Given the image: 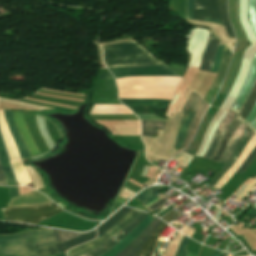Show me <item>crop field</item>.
<instances>
[{
  "instance_id": "8a807250",
  "label": "crop field",
  "mask_w": 256,
  "mask_h": 256,
  "mask_svg": "<svg viewBox=\"0 0 256 256\" xmlns=\"http://www.w3.org/2000/svg\"><path fill=\"white\" fill-rule=\"evenodd\" d=\"M82 234L47 230L0 236V256H37L36 248L56 244Z\"/></svg>"
},
{
  "instance_id": "ac0d7876",
  "label": "crop field",
  "mask_w": 256,
  "mask_h": 256,
  "mask_svg": "<svg viewBox=\"0 0 256 256\" xmlns=\"http://www.w3.org/2000/svg\"><path fill=\"white\" fill-rule=\"evenodd\" d=\"M101 47L104 51V63L107 68L163 64L151 57L144 48L134 41Z\"/></svg>"
},
{
  "instance_id": "34b2d1b8",
  "label": "crop field",
  "mask_w": 256,
  "mask_h": 256,
  "mask_svg": "<svg viewBox=\"0 0 256 256\" xmlns=\"http://www.w3.org/2000/svg\"><path fill=\"white\" fill-rule=\"evenodd\" d=\"M182 114L176 112L175 115L169 116L164 131L157 130L158 137L142 136V140L146 145V156L153 155L157 158L169 160L176 153L173 146Z\"/></svg>"
},
{
  "instance_id": "412701ff",
  "label": "crop field",
  "mask_w": 256,
  "mask_h": 256,
  "mask_svg": "<svg viewBox=\"0 0 256 256\" xmlns=\"http://www.w3.org/2000/svg\"><path fill=\"white\" fill-rule=\"evenodd\" d=\"M192 10L193 0H186V18L192 19ZM203 17L224 22L223 24L204 18L208 22L223 24L228 36L235 38L227 17L226 0H194L193 19L203 20Z\"/></svg>"
},
{
  "instance_id": "f4fd0767",
  "label": "crop field",
  "mask_w": 256,
  "mask_h": 256,
  "mask_svg": "<svg viewBox=\"0 0 256 256\" xmlns=\"http://www.w3.org/2000/svg\"><path fill=\"white\" fill-rule=\"evenodd\" d=\"M5 220L37 224L63 210L59 209L55 203L45 206L1 209Z\"/></svg>"
},
{
  "instance_id": "dd49c442",
  "label": "crop field",
  "mask_w": 256,
  "mask_h": 256,
  "mask_svg": "<svg viewBox=\"0 0 256 256\" xmlns=\"http://www.w3.org/2000/svg\"><path fill=\"white\" fill-rule=\"evenodd\" d=\"M140 211L132 209L129 211L122 219H120L108 232H106L104 235H101L99 238H97L94 241L88 242L84 245L77 246L73 249L68 250L69 256H81L84 255L109 238H111L113 235H115L119 230H121L126 224H128L136 215H138Z\"/></svg>"
},
{
  "instance_id": "e52e79f7",
  "label": "crop field",
  "mask_w": 256,
  "mask_h": 256,
  "mask_svg": "<svg viewBox=\"0 0 256 256\" xmlns=\"http://www.w3.org/2000/svg\"><path fill=\"white\" fill-rule=\"evenodd\" d=\"M109 70L115 76V78L124 77V76H147V75L179 76L177 73H175L166 65L140 67V68H131V67L113 68Z\"/></svg>"
},
{
  "instance_id": "d8731c3e",
  "label": "crop field",
  "mask_w": 256,
  "mask_h": 256,
  "mask_svg": "<svg viewBox=\"0 0 256 256\" xmlns=\"http://www.w3.org/2000/svg\"><path fill=\"white\" fill-rule=\"evenodd\" d=\"M148 214L141 212L135 219H133L127 226H125L116 236L109 239L90 253L84 256H101L112 246L122 240L142 219H144Z\"/></svg>"
},
{
  "instance_id": "5a996713",
  "label": "crop field",
  "mask_w": 256,
  "mask_h": 256,
  "mask_svg": "<svg viewBox=\"0 0 256 256\" xmlns=\"http://www.w3.org/2000/svg\"><path fill=\"white\" fill-rule=\"evenodd\" d=\"M158 218H155L152 223L135 239L133 240L125 249L119 252L116 256H134L144 242L148 239L150 234L155 230V228L161 223Z\"/></svg>"
},
{
  "instance_id": "3316defc",
  "label": "crop field",
  "mask_w": 256,
  "mask_h": 256,
  "mask_svg": "<svg viewBox=\"0 0 256 256\" xmlns=\"http://www.w3.org/2000/svg\"><path fill=\"white\" fill-rule=\"evenodd\" d=\"M155 217L148 215L142 220L122 241L116 244L109 252L102 256H115L120 250L128 245L134 238H136L154 219Z\"/></svg>"
},
{
  "instance_id": "28ad6ade",
  "label": "crop field",
  "mask_w": 256,
  "mask_h": 256,
  "mask_svg": "<svg viewBox=\"0 0 256 256\" xmlns=\"http://www.w3.org/2000/svg\"><path fill=\"white\" fill-rule=\"evenodd\" d=\"M256 80V54L252 60L251 69L249 76L247 77L237 99L235 100L234 104L231 107V110L238 113L243 101L247 97L248 93L250 92L254 82Z\"/></svg>"
},
{
  "instance_id": "d1516ede",
  "label": "crop field",
  "mask_w": 256,
  "mask_h": 256,
  "mask_svg": "<svg viewBox=\"0 0 256 256\" xmlns=\"http://www.w3.org/2000/svg\"><path fill=\"white\" fill-rule=\"evenodd\" d=\"M16 126L32 156L39 155V152L28 132L25 121L20 111H12Z\"/></svg>"
},
{
  "instance_id": "22f410ed",
  "label": "crop field",
  "mask_w": 256,
  "mask_h": 256,
  "mask_svg": "<svg viewBox=\"0 0 256 256\" xmlns=\"http://www.w3.org/2000/svg\"><path fill=\"white\" fill-rule=\"evenodd\" d=\"M255 146H256V135L254 134V136L252 137L250 142L247 144V146L244 148L243 152L241 153L239 158L236 160L234 165L223 175V177L218 181V183L214 187L219 189L237 171V169L248 157V155L255 148Z\"/></svg>"
},
{
  "instance_id": "cbeb9de0",
  "label": "crop field",
  "mask_w": 256,
  "mask_h": 256,
  "mask_svg": "<svg viewBox=\"0 0 256 256\" xmlns=\"http://www.w3.org/2000/svg\"><path fill=\"white\" fill-rule=\"evenodd\" d=\"M235 116L236 115L233 112H229V114L222 120V122L220 123L218 129L216 130V132L210 142V145L207 149L206 155L204 156L205 159L211 160V158L219 144V141L223 135L224 130L227 129V127L230 125V123L235 118Z\"/></svg>"
},
{
  "instance_id": "5142ce71",
  "label": "crop field",
  "mask_w": 256,
  "mask_h": 256,
  "mask_svg": "<svg viewBox=\"0 0 256 256\" xmlns=\"http://www.w3.org/2000/svg\"><path fill=\"white\" fill-rule=\"evenodd\" d=\"M209 36L219 40L213 33L210 32ZM209 37L208 43L206 45L205 51L203 53L202 61H201V66L199 70H205L209 71L211 70V66L214 60V56L217 50V46L219 41Z\"/></svg>"
},
{
  "instance_id": "d9b57169",
  "label": "crop field",
  "mask_w": 256,
  "mask_h": 256,
  "mask_svg": "<svg viewBox=\"0 0 256 256\" xmlns=\"http://www.w3.org/2000/svg\"><path fill=\"white\" fill-rule=\"evenodd\" d=\"M253 132L248 128V130L244 133V135L241 138V141L235 150L232 158L230 161L221 169V171L208 183V185L213 186L216 184V182L220 179V177L230 168V166L235 162V160L240 155L241 151L245 147V145L248 143V141L253 136Z\"/></svg>"
},
{
  "instance_id": "733c2abd",
  "label": "crop field",
  "mask_w": 256,
  "mask_h": 256,
  "mask_svg": "<svg viewBox=\"0 0 256 256\" xmlns=\"http://www.w3.org/2000/svg\"><path fill=\"white\" fill-rule=\"evenodd\" d=\"M4 113H5V118H6V122L8 124L9 130H10L11 135L17 145V148H18L21 158L23 159V158L31 157L22 138L20 137L19 133L17 132V130L15 128L10 110H4Z\"/></svg>"
},
{
  "instance_id": "4a817a6b",
  "label": "crop field",
  "mask_w": 256,
  "mask_h": 256,
  "mask_svg": "<svg viewBox=\"0 0 256 256\" xmlns=\"http://www.w3.org/2000/svg\"><path fill=\"white\" fill-rule=\"evenodd\" d=\"M0 128H1V132H2L3 138L5 140L7 150H8L11 160L13 161V160L20 159L18 152H17V148L13 142V139L10 135L7 124L5 122L3 111H0Z\"/></svg>"
},
{
  "instance_id": "bc2a9ffb",
  "label": "crop field",
  "mask_w": 256,
  "mask_h": 256,
  "mask_svg": "<svg viewBox=\"0 0 256 256\" xmlns=\"http://www.w3.org/2000/svg\"><path fill=\"white\" fill-rule=\"evenodd\" d=\"M167 225L162 222L135 256H151L158 237Z\"/></svg>"
},
{
  "instance_id": "214f88e0",
  "label": "crop field",
  "mask_w": 256,
  "mask_h": 256,
  "mask_svg": "<svg viewBox=\"0 0 256 256\" xmlns=\"http://www.w3.org/2000/svg\"><path fill=\"white\" fill-rule=\"evenodd\" d=\"M242 122L237 118L233 120V122L231 123V125L229 126V128L227 129V131L225 132L221 142H220V146L213 158V161H217L219 162L226 146L228 145L234 131L238 128V126L241 124Z\"/></svg>"
},
{
  "instance_id": "92a150f3",
  "label": "crop field",
  "mask_w": 256,
  "mask_h": 256,
  "mask_svg": "<svg viewBox=\"0 0 256 256\" xmlns=\"http://www.w3.org/2000/svg\"><path fill=\"white\" fill-rule=\"evenodd\" d=\"M0 164L4 170L7 185H17L14 173L9 165L8 158L3 146V141L0 133Z\"/></svg>"
},
{
  "instance_id": "dafd665d",
  "label": "crop field",
  "mask_w": 256,
  "mask_h": 256,
  "mask_svg": "<svg viewBox=\"0 0 256 256\" xmlns=\"http://www.w3.org/2000/svg\"><path fill=\"white\" fill-rule=\"evenodd\" d=\"M95 236H96V230L93 232H90L88 234H85L83 236L77 237L75 239L56 244V247H57L59 253H61V252L66 251L69 248L75 247L81 243L92 240L95 238Z\"/></svg>"
},
{
  "instance_id": "00972430",
  "label": "crop field",
  "mask_w": 256,
  "mask_h": 256,
  "mask_svg": "<svg viewBox=\"0 0 256 256\" xmlns=\"http://www.w3.org/2000/svg\"><path fill=\"white\" fill-rule=\"evenodd\" d=\"M209 105H207L205 102L202 101L197 113L195 114V116L193 117L189 127H188V130H187V134H186V138H185V142H184V145L183 147H185L191 140L196 128H197V125L202 117V115L204 114V112L206 111V109L208 108Z\"/></svg>"
},
{
  "instance_id": "a9b5d70f",
  "label": "crop field",
  "mask_w": 256,
  "mask_h": 256,
  "mask_svg": "<svg viewBox=\"0 0 256 256\" xmlns=\"http://www.w3.org/2000/svg\"><path fill=\"white\" fill-rule=\"evenodd\" d=\"M230 56H231V53L230 51L224 47V51H223V54H222V61H221V67H220V70L219 72L217 73V76L211 86L212 89H219L221 84H222V81H223V77H224V74H225V71L229 65V61H230Z\"/></svg>"
},
{
  "instance_id": "4177f3b9",
  "label": "crop field",
  "mask_w": 256,
  "mask_h": 256,
  "mask_svg": "<svg viewBox=\"0 0 256 256\" xmlns=\"http://www.w3.org/2000/svg\"><path fill=\"white\" fill-rule=\"evenodd\" d=\"M247 127L242 123L239 128L235 131L234 136L230 142V144L228 145L225 153L223 154L220 162L222 163H227L228 159L230 158L234 148L236 147L242 133L245 131Z\"/></svg>"
},
{
  "instance_id": "730fd06b",
  "label": "crop field",
  "mask_w": 256,
  "mask_h": 256,
  "mask_svg": "<svg viewBox=\"0 0 256 256\" xmlns=\"http://www.w3.org/2000/svg\"><path fill=\"white\" fill-rule=\"evenodd\" d=\"M214 117V116H213ZM212 116L211 115H205L195 137H194V140L192 142V145H191V148H190V151L189 153L191 154H195V152L197 151L200 143H201V140H202V137H203V134H204V131L209 123V121L211 120ZM211 122V121H210Z\"/></svg>"
},
{
  "instance_id": "eef30255",
  "label": "crop field",
  "mask_w": 256,
  "mask_h": 256,
  "mask_svg": "<svg viewBox=\"0 0 256 256\" xmlns=\"http://www.w3.org/2000/svg\"><path fill=\"white\" fill-rule=\"evenodd\" d=\"M131 208L123 207L120 209L115 215H113L106 222L97 227L98 236L108 230L111 226H113L120 218H122Z\"/></svg>"
},
{
  "instance_id": "ae1a2a85",
  "label": "crop field",
  "mask_w": 256,
  "mask_h": 256,
  "mask_svg": "<svg viewBox=\"0 0 256 256\" xmlns=\"http://www.w3.org/2000/svg\"><path fill=\"white\" fill-rule=\"evenodd\" d=\"M255 102H256V83H255L253 89L251 90L250 94L246 98L245 102L243 103V105L237 115L241 118L242 121L247 116V114L249 113V111L251 110V108L253 107Z\"/></svg>"
},
{
  "instance_id": "d3111659",
  "label": "crop field",
  "mask_w": 256,
  "mask_h": 256,
  "mask_svg": "<svg viewBox=\"0 0 256 256\" xmlns=\"http://www.w3.org/2000/svg\"><path fill=\"white\" fill-rule=\"evenodd\" d=\"M142 122V135H153L157 136L156 128L163 129L166 122L161 121H146L140 120Z\"/></svg>"
},
{
  "instance_id": "750c4746",
  "label": "crop field",
  "mask_w": 256,
  "mask_h": 256,
  "mask_svg": "<svg viewBox=\"0 0 256 256\" xmlns=\"http://www.w3.org/2000/svg\"><path fill=\"white\" fill-rule=\"evenodd\" d=\"M193 115L194 114H192V113H188V115L186 117L182 118L180 130H179V134H178L175 146L180 147V148L182 147L187 127H188Z\"/></svg>"
},
{
  "instance_id": "bd1437ed",
  "label": "crop field",
  "mask_w": 256,
  "mask_h": 256,
  "mask_svg": "<svg viewBox=\"0 0 256 256\" xmlns=\"http://www.w3.org/2000/svg\"><path fill=\"white\" fill-rule=\"evenodd\" d=\"M12 166L19 183L25 185L30 182L26 174V171L24 169V165L22 161L12 162Z\"/></svg>"
},
{
  "instance_id": "1d83c4d3",
  "label": "crop field",
  "mask_w": 256,
  "mask_h": 256,
  "mask_svg": "<svg viewBox=\"0 0 256 256\" xmlns=\"http://www.w3.org/2000/svg\"><path fill=\"white\" fill-rule=\"evenodd\" d=\"M201 101L202 100H201L200 96L192 92V94L186 101V103L182 109V112L188 111V112L195 113L197 108L199 107Z\"/></svg>"
},
{
  "instance_id": "120bbe31",
  "label": "crop field",
  "mask_w": 256,
  "mask_h": 256,
  "mask_svg": "<svg viewBox=\"0 0 256 256\" xmlns=\"http://www.w3.org/2000/svg\"><path fill=\"white\" fill-rule=\"evenodd\" d=\"M124 104H167L170 101L156 99H121Z\"/></svg>"
},
{
  "instance_id": "d32e631a",
  "label": "crop field",
  "mask_w": 256,
  "mask_h": 256,
  "mask_svg": "<svg viewBox=\"0 0 256 256\" xmlns=\"http://www.w3.org/2000/svg\"><path fill=\"white\" fill-rule=\"evenodd\" d=\"M249 20L256 35V0H248Z\"/></svg>"
},
{
  "instance_id": "5866460e",
  "label": "crop field",
  "mask_w": 256,
  "mask_h": 256,
  "mask_svg": "<svg viewBox=\"0 0 256 256\" xmlns=\"http://www.w3.org/2000/svg\"><path fill=\"white\" fill-rule=\"evenodd\" d=\"M160 191H161L160 189L151 188L146 193H144L143 195L137 197L136 199H138L139 201L144 203L145 201H147V200L151 199L152 197H154Z\"/></svg>"
},
{
  "instance_id": "028f5c9d",
  "label": "crop field",
  "mask_w": 256,
  "mask_h": 256,
  "mask_svg": "<svg viewBox=\"0 0 256 256\" xmlns=\"http://www.w3.org/2000/svg\"><path fill=\"white\" fill-rule=\"evenodd\" d=\"M37 251L39 256H48L58 253L54 245L38 248Z\"/></svg>"
},
{
  "instance_id": "e1f06a70",
  "label": "crop field",
  "mask_w": 256,
  "mask_h": 256,
  "mask_svg": "<svg viewBox=\"0 0 256 256\" xmlns=\"http://www.w3.org/2000/svg\"><path fill=\"white\" fill-rule=\"evenodd\" d=\"M189 240H190V238H188L187 236L184 235L175 256H186L188 251H186L185 248H186Z\"/></svg>"
},
{
  "instance_id": "0bd39190",
  "label": "crop field",
  "mask_w": 256,
  "mask_h": 256,
  "mask_svg": "<svg viewBox=\"0 0 256 256\" xmlns=\"http://www.w3.org/2000/svg\"><path fill=\"white\" fill-rule=\"evenodd\" d=\"M224 46L219 45L218 46V50H217V54H216V58L214 60L213 66H212V70L214 72H217L219 67H220V60H221V54H222V50H223Z\"/></svg>"
},
{
  "instance_id": "b80d0937",
  "label": "crop field",
  "mask_w": 256,
  "mask_h": 256,
  "mask_svg": "<svg viewBox=\"0 0 256 256\" xmlns=\"http://www.w3.org/2000/svg\"><path fill=\"white\" fill-rule=\"evenodd\" d=\"M256 158V148L252 151L249 157L245 160V162L241 165L237 172L243 173L245 168Z\"/></svg>"
},
{
  "instance_id": "c035e120",
  "label": "crop field",
  "mask_w": 256,
  "mask_h": 256,
  "mask_svg": "<svg viewBox=\"0 0 256 256\" xmlns=\"http://www.w3.org/2000/svg\"><path fill=\"white\" fill-rule=\"evenodd\" d=\"M256 187V181L253 180L251 183L248 184V186L242 191V193L239 195V197L243 198L250 193L254 188Z\"/></svg>"
},
{
  "instance_id": "c21b1889",
  "label": "crop field",
  "mask_w": 256,
  "mask_h": 256,
  "mask_svg": "<svg viewBox=\"0 0 256 256\" xmlns=\"http://www.w3.org/2000/svg\"><path fill=\"white\" fill-rule=\"evenodd\" d=\"M255 117H256V104L243 122L248 126L254 120Z\"/></svg>"
},
{
  "instance_id": "03da06ac",
  "label": "crop field",
  "mask_w": 256,
  "mask_h": 256,
  "mask_svg": "<svg viewBox=\"0 0 256 256\" xmlns=\"http://www.w3.org/2000/svg\"><path fill=\"white\" fill-rule=\"evenodd\" d=\"M139 119H146V120H162V121H167V119H161L155 114H149V115H137Z\"/></svg>"
},
{
  "instance_id": "b54c1fbb",
  "label": "crop field",
  "mask_w": 256,
  "mask_h": 256,
  "mask_svg": "<svg viewBox=\"0 0 256 256\" xmlns=\"http://www.w3.org/2000/svg\"><path fill=\"white\" fill-rule=\"evenodd\" d=\"M177 215H179V213L175 212V211H170L168 214H166L164 217H162L161 219H163L165 222H169L171 221L173 218H175Z\"/></svg>"
},
{
  "instance_id": "5d738f31",
  "label": "crop field",
  "mask_w": 256,
  "mask_h": 256,
  "mask_svg": "<svg viewBox=\"0 0 256 256\" xmlns=\"http://www.w3.org/2000/svg\"><path fill=\"white\" fill-rule=\"evenodd\" d=\"M9 197L10 199L19 197L18 188L17 187H8Z\"/></svg>"
},
{
  "instance_id": "d23c7cc5",
  "label": "crop field",
  "mask_w": 256,
  "mask_h": 256,
  "mask_svg": "<svg viewBox=\"0 0 256 256\" xmlns=\"http://www.w3.org/2000/svg\"><path fill=\"white\" fill-rule=\"evenodd\" d=\"M162 240H158L152 256H162L163 250L158 249Z\"/></svg>"
},
{
  "instance_id": "425ffa30",
  "label": "crop field",
  "mask_w": 256,
  "mask_h": 256,
  "mask_svg": "<svg viewBox=\"0 0 256 256\" xmlns=\"http://www.w3.org/2000/svg\"><path fill=\"white\" fill-rule=\"evenodd\" d=\"M0 185H6L3 171L0 166Z\"/></svg>"
},
{
  "instance_id": "25e5ab78",
  "label": "crop field",
  "mask_w": 256,
  "mask_h": 256,
  "mask_svg": "<svg viewBox=\"0 0 256 256\" xmlns=\"http://www.w3.org/2000/svg\"><path fill=\"white\" fill-rule=\"evenodd\" d=\"M114 78L110 73H100V79Z\"/></svg>"
},
{
  "instance_id": "73cf0c24",
  "label": "crop field",
  "mask_w": 256,
  "mask_h": 256,
  "mask_svg": "<svg viewBox=\"0 0 256 256\" xmlns=\"http://www.w3.org/2000/svg\"><path fill=\"white\" fill-rule=\"evenodd\" d=\"M254 133L256 132V118L255 120L248 126Z\"/></svg>"
},
{
  "instance_id": "89e229c0",
  "label": "crop field",
  "mask_w": 256,
  "mask_h": 256,
  "mask_svg": "<svg viewBox=\"0 0 256 256\" xmlns=\"http://www.w3.org/2000/svg\"><path fill=\"white\" fill-rule=\"evenodd\" d=\"M163 203H165V200L162 199L161 201H159V202L155 203L154 205L150 206L149 208L154 209V208L160 206Z\"/></svg>"
},
{
  "instance_id": "1f2cbd36",
  "label": "crop field",
  "mask_w": 256,
  "mask_h": 256,
  "mask_svg": "<svg viewBox=\"0 0 256 256\" xmlns=\"http://www.w3.org/2000/svg\"><path fill=\"white\" fill-rule=\"evenodd\" d=\"M247 214H249V215L255 217V216H256V210H254V209L251 208V209L247 212Z\"/></svg>"
},
{
  "instance_id": "dbb93151",
  "label": "crop field",
  "mask_w": 256,
  "mask_h": 256,
  "mask_svg": "<svg viewBox=\"0 0 256 256\" xmlns=\"http://www.w3.org/2000/svg\"><path fill=\"white\" fill-rule=\"evenodd\" d=\"M155 198H157V197L155 196V197L152 198L150 201H152V200L155 199ZM157 200H159V198L153 200L152 202L148 201V202L144 203V205L150 202L149 204L146 205V206L148 207V206H150L151 204H153L154 202H156Z\"/></svg>"
},
{
  "instance_id": "0fb4a251",
  "label": "crop field",
  "mask_w": 256,
  "mask_h": 256,
  "mask_svg": "<svg viewBox=\"0 0 256 256\" xmlns=\"http://www.w3.org/2000/svg\"><path fill=\"white\" fill-rule=\"evenodd\" d=\"M173 207H168V208H166L164 211H162L160 214H158L157 216H162L163 214H165L166 212H168L169 210H171Z\"/></svg>"
},
{
  "instance_id": "1d79db26",
  "label": "crop field",
  "mask_w": 256,
  "mask_h": 256,
  "mask_svg": "<svg viewBox=\"0 0 256 256\" xmlns=\"http://www.w3.org/2000/svg\"><path fill=\"white\" fill-rule=\"evenodd\" d=\"M219 254H220V251L216 250L214 256H219Z\"/></svg>"
},
{
  "instance_id": "9d1cf04e",
  "label": "crop field",
  "mask_w": 256,
  "mask_h": 256,
  "mask_svg": "<svg viewBox=\"0 0 256 256\" xmlns=\"http://www.w3.org/2000/svg\"><path fill=\"white\" fill-rule=\"evenodd\" d=\"M191 145V144H190ZM190 145L184 150L185 152H188Z\"/></svg>"
},
{
  "instance_id": "447ae74e",
  "label": "crop field",
  "mask_w": 256,
  "mask_h": 256,
  "mask_svg": "<svg viewBox=\"0 0 256 256\" xmlns=\"http://www.w3.org/2000/svg\"><path fill=\"white\" fill-rule=\"evenodd\" d=\"M54 256H66V254H65V253H63V254L54 255Z\"/></svg>"
},
{
  "instance_id": "0765c3eb",
  "label": "crop field",
  "mask_w": 256,
  "mask_h": 256,
  "mask_svg": "<svg viewBox=\"0 0 256 256\" xmlns=\"http://www.w3.org/2000/svg\"><path fill=\"white\" fill-rule=\"evenodd\" d=\"M256 134V133H255Z\"/></svg>"
}]
</instances>
